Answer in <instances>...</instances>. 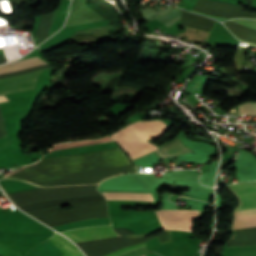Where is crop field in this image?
Segmentation results:
<instances>
[{"mask_svg":"<svg viewBox=\"0 0 256 256\" xmlns=\"http://www.w3.org/2000/svg\"><path fill=\"white\" fill-rule=\"evenodd\" d=\"M57 248L63 251L65 254L62 256H84L74 245L68 240L55 233L51 239H49Z\"/></svg>","mask_w":256,"mask_h":256,"instance_id":"obj_10","label":"crop field"},{"mask_svg":"<svg viewBox=\"0 0 256 256\" xmlns=\"http://www.w3.org/2000/svg\"><path fill=\"white\" fill-rule=\"evenodd\" d=\"M165 145V144H164ZM190 151L186 148L178 138L168 142L165 146L156 151L161 158L174 156L180 153Z\"/></svg>","mask_w":256,"mask_h":256,"instance_id":"obj_9","label":"crop field"},{"mask_svg":"<svg viewBox=\"0 0 256 256\" xmlns=\"http://www.w3.org/2000/svg\"><path fill=\"white\" fill-rule=\"evenodd\" d=\"M193 11L222 18H256V14L244 12L239 6L213 0H197Z\"/></svg>","mask_w":256,"mask_h":256,"instance_id":"obj_1","label":"crop field"},{"mask_svg":"<svg viewBox=\"0 0 256 256\" xmlns=\"http://www.w3.org/2000/svg\"><path fill=\"white\" fill-rule=\"evenodd\" d=\"M239 200V207L234 211L256 209V181L224 186Z\"/></svg>","mask_w":256,"mask_h":256,"instance_id":"obj_3","label":"crop field"},{"mask_svg":"<svg viewBox=\"0 0 256 256\" xmlns=\"http://www.w3.org/2000/svg\"><path fill=\"white\" fill-rule=\"evenodd\" d=\"M69 237L73 242H84L96 239H105L116 237L111 226H101V227H87L82 229L71 230L62 233Z\"/></svg>","mask_w":256,"mask_h":256,"instance_id":"obj_4","label":"crop field"},{"mask_svg":"<svg viewBox=\"0 0 256 256\" xmlns=\"http://www.w3.org/2000/svg\"><path fill=\"white\" fill-rule=\"evenodd\" d=\"M158 241L160 244L170 242V231L163 230L158 236Z\"/></svg>","mask_w":256,"mask_h":256,"instance_id":"obj_14","label":"crop field"},{"mask_svg":"<svg viewBox=\"0 0 256 256\" xmlns=\"http://www.w3.org/2000/svg\"><path fill=\"white\" fill-rule=\"evenodd\" d=\"M144 244H145V242L141 243V244H138V245L131 246V247L123 248V249H120V250H118L116 252L109 253V254H107L105 256H119V255H121V254H123V253H125L127 251L143 247Z\"/></svg>","mask_w":256,"mask_h":256,"instance_id":"obj_13","label":"crop field"},{"mask_svg":"<svg viewBox=\"0 0 256 256\" xmlns=\"http://www.w3.org/2000/svg\"><path fill=\"white\" fill-rule=\"evenodd\" d=\"M232 22H236L245 25L249 28L256 30V20H244V19H232ZM229 21L223 24L240 40L249 43L256 44V31L249 29L245 26L235 24Z\"/></svg>","mask_w":256,"mask_h":256,"instance_id":"obj_5","label":"crop field"},{"mask_svg":"<svg viewBox=\"0 0 256 256\" xmlns=\"http://www.w3.org/2000/svg\"><path fill=\"white\" fill-rule=\"evenodd\" d=\"M67 12L66 11H62V10H58L57 9V13L54 17V21L52 23L51 26V30L49 32V36H51L55 31H57L58 29L61 28V26L64 23L65 17H66Z\"/></svg>","mask_w":256,"mask_h":256,"instance_id":"obj_11","label":"crop field"},{"mask_svg":"<svg viewBox=\"0 0 256 256\" xmlns=\"http://www.w3.org/2000/svg\"><path fill=\"white\" fill-rule=\"evenodd\" d=\"M239 115H252L256 116V103L252 101L238 105Z\"/></svg>","mask_w":256,"mask_h":256,"instance_id":"obj_12","label":"crop field"},{"mask_svg":"<svg viewBox=\"0 0 256 256\" xmlns=\"http://www.w3.org/2000/svg\"><path fill=\"white\" fill-rule=\"evenodd\" d=\"M119 236V235H118Z\"/></svg>","mask_w":256,"mask_h":256,"instance_id":"obj_16","label":"crop field"},{"mask_svg":"<svg viewBox=\"0 0 256 256\" xmlns=\"http://www.w3.org/2000/svg\"><path fill=\"white\" fill-rule=\"evenodd\" d=\"M256 226V210L235 212L232 219V228Z\"/></svg>","mask_w":256,"mask_h":256,"instance_id":"obj_7","label":"crop field"},{"mask_svg":"<svg viewBox=\"0 0 256 256\" xmlns=\"http://www.w3.org/2000/svg\"><path fill=\"white\" fill-rule=\"evenodd\" d=\"M8 99L4 95H0V102L7 101Z\"/></svg>","mask_w":256,"mask_h":256,"instance_id":"obj_15","label":"crop field"},{"mask_svg":"<svg viewBox=\"0 0 256 256\" xmlns=\"http://www.w3.org/2000/svg\"><path fill=\"white\" fill-rule=\"evenodd\" d=\"M41 71L0 80V94L34 90Z\"/></svg>","mask_w":256,"mask_h":256,"instance_id":"obj_2","label":"crop field"},{"mask_svg":"<svg viewBox=\"0 0 256 256\" xmlns=\"http://www.w3.org/2000/svg\"><path fill=\"white\" fill-rule=\"evenodd\" d=\"M42 64H46V63L38 57L25 59V60H21V61H17L14 63L0 66V74L14 72V71H18L21 69H25V68H29V67H33V66H37V65H42Z\"/></svg>","mask_w":256,"mask_h":256,"instance_id":"obj_8","label":"crop field"},{"mask_svg":"<svg viewBox=\"0 0 256 256\" xmlns=\"http://www.w3.org/2000/svg\"><path fill=\"white\" fill-rule=\"evenodd\" d=\"M182 10V9H181ZM181 25H185L188 27L204 30L210 32L212 27L215 24V21L205 18L196 14H192L189 12L181 11Z\"/></svg>","mask_w":256,"mask_h":256,"instance_id":"obj_6","label":"crop field"}]
</instances>
